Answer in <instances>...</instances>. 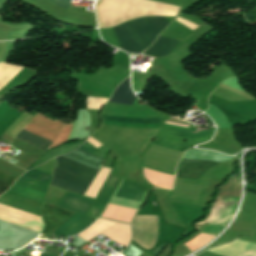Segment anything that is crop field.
<instances>
[{
    "instance_id": "f4fd0767",
    "label": "crop field",
    "mask_w": 256,
    "mask_h": 256,
    "mask_svg": "<svg viewBox=\"0 0 256 256\" xmlns=\"http://www.w3.org/2000/svg\"><path fill=\"white\" fill-rule=\"evenodd\" d=\"M135 99H136V96L133 95L130 84H129V78H127L118 86V88L115 90L112 98L109 100L108 103L133 105ZM100 117L101 119H105V120L130 122V123H160L161 122V120L124 119V118H116V117L104 116V115H101Z\"/></svg>"
},
{
    "instance_id": "d8731c3e",
    "label": "crop field",
    "mask_w": 256,
    "mask_h": 256,
    "mask_svg": "<svg viewBox=\"0 0 256 256\" xmlns=\"http://www.w3.org/2000/svg\"><path fill=\"white\" fill-rule=\"evenodd\" d=\"M93 200L68 192L60 207L85 214Z\"/></svg>"
},
{
    "instance_id": "733c2abd",
    "label": "crop field",
    "mask_w": 256,
    "mask_h": 256,
    "mask_svg": "<svg viewBox=\"0 0 256 256\" xmlns=\"http://www.w3.org/2000/svg\"><path fill=\"white\" fill-rule=\"evenodd\" d=\"M53 3L66 9L67 5L70 3V0H50Z\"/></svg>"
},
{
    "instance_id": "d9b57169",
    "label": "crop field",
    "mask_w": 256,
    "mask_h": 256,
    "mask_svg": "<svg viewBox=\"0 0 256 256\" xmlns=\"http://www.w3.org/2000/svg\"><path fill=\"white\" fill-rule=\"evenodd\" d=\"M216 235H212L210 234L208 237H206L203 241H201L199 244L190 247V250L193 251L197 248H200L202 246H204L205 244H207L210 240H212Z\"/></svg>"
},
{
    "instance_id": "cbeb9de0",
    "label": "crop field",
    "mask_w": 256,
    "mask_h": 256,
    "mask_svg": "<svg viewBox=\"0 0 256 256\" xmlns=\"http://www.w3.org/2000/svg\"><path fill=\"white\" fill-rule=\"evenodd\" d=\"M15 181L16 179L0 172V194L6 191Z\"/></svg>"
},
{
    "instance_id": "e52e79f7",
    "label": "crop field",
    "mask_w": 256,
    "mask_h": 256,
    "mask_svg": "<svg viewBox=\"0 0 256 256\" xmlns=\"http://www.w3.org/2000/svg\"><path fill=\"white\" fill-rule=\"evenodd\" d=\"M42 214L45 223V228L42 233L53 234L52 232L66 221L73 212L45 203L42 208Z\"/></svg>"
},
{
    "instance_id": "5142ce71",
    "label": "crop field",
    "mask_w": 256,
    "mask_h": 256,
    "mask_svg": "<svg viewBox=\"0 0 256 256\" xmlns=\"http://www.w3.org/2000/svg\"><path fill=\"white\" fill-rule=\"evenodd\" d=\"M141 252L142 251L138 250L137 248H135L133 245L130 244L128 249L121 254L125 256H138Z\"/></svg>"
},
{
    "instance_id": "412701ff",
    "label": "crop field",
    "mask_w": 256,
    "mask_h": 256,
    "mask_svg": "<svg viewBox=\"0 0 256 256\" xmlns=\"http://www.w3.org/2000/svg\"><path fill=\"white\" fill-rule=\"evenodd\" d=\"M50 178V175L32 169L23 174L10 188L9 192L44 202L45 191Z\"/></svg>"
},
{
    "instance_id": "34b2d1b8",
    "label": "crop field",
    "mask_w": 256,
    "mask_h": 256,
    "mask_svg": "<svg viewBox=\"0 0 256 256\" xmlns=\"http://www.w3.org/2000/svg\"><path fill=\"white\" fill-rule=\"evenodd\" d=\"M186 157L202 158L214 161L224 162L232 159V157L223 156L214 152L189 150L185 153ZM182 157L178 167L177 176L198 179L200 174L208 167L220 163L202 159Z\"/></svg>"
},
{
    "instance_id": "3316defc",
    "label": "crop field",
    "mask_w": 256,
    "mask_h": 256,
    "mask_svg": "<svg viewBox=\"0 0 256 256\" xmlns=\"http://www.w3.org/2000/svg\"><path fill=\"white\" fill-rule=\"evenodd\" d=\"M119 180H120L119 178L110 176V178L108 179L107 183L105 184L97 202L95 203L93 208L88 213L89 216L97 217L100 214L101 210L105 206L109 196L111 195L114 187L117 185Z\"/></svg>"
},
{
    "instance_id": "d1516ede",
    "label": "crop field",
    "mask_w": 256,
    "mask_h": 256,
    "mask_svg": "<svg viewBox=\"0 0 256 256\" xmlns=\"http://www.w3.org/2000/svg\"><path fill=\"white\" fill-rule=\"evenodd\" d=\"M15 139L26 143L30 146H33L37 149H40L44 152H46V150L49 148V146L51 145V142L46 141L42 138H39L37 136H34L24 130H22L16 137Z\"/></svg>"
},
{
    "instance_id": "4a817a6b",
    "label": "crop field",
    "mask_w": 256,
    "mask_h": 256,
    "mask_svg": "<svg viewBox=\"0 0 256 256\" xmlns=\"http://www.w3.org/2000/svg\"><path fill=\"white\" fill-rule=\"evenodd\" d=\"M170 123V122H169ZM176 124V123H175ZM182 125V124H181ZM188 126V125H187Z\"/></svg>"
},
{
    "instance_id": "22f410ed",
    "label": "crop field",
    "mask_w": 256,
    "mask_h": 256,
    "mask_svg": "<svg viewBox=\"0 0 256 256\" xmlns=\"http://www.w3.org/2000/svg\"><path fill=\"white\" fill-rule=\"evenodd\" d=\"M110 170L111 169H109V168L101 167V169L99 170L97 175L94 177V179L90 183V185L85 193V196L95 198V196L99 192L100 188L102 187L104 181L106 180Z\"/></svg>"
},
{
    "instance_id": "8a807250",
    "label": "crop field",
    "mask_w": 256,
    "mask_h": 256,
    "mask_svg": "<svg viewBox=\"0 0 256 256\" xmlns=\"http://www.w3.org/2000/svg\"><path fill=\"white\" fill-rule=\"evenodd\" d=\"M167 24L163 17H144L115 26L120 49L136 54L143 52Z\"/></svg>"
},
{
    "instance_id": "dd49c442",
    "label": "crop field",
    "mask_w": 256,
    "mask_h": 256,
    "mask_svg": "<svg viewBox=\"0 0 256 256\" xmlns=\"http://www.w3.org/2000/svg\"><path fill=\"white\" fill-rule=\"evenodd\" d=\"M87 141L96 148L99 147L100 145H102L92 137H90ZM87 141L79 149L90 153L93 150H95L96 148H94L92 145H90ZM79 149L72 151L66 155H62V156L72 159L74 161H77L79 163L91 166L98 170L103 162V158L88 154Z\"/></svg>"
},
{
    "instance_id": "ac0d7876",
    "label": "crop field",
    "mask_w": 256,
    "mask_h": 256,
    "mask_svg": "<svg viewBox=\"0 0 256 256\" xmlns=\"http://www.w3.org/2000/svg\"><path fill=\"white\" fill-rule=\"evenodd\" d=\"M56 161L58 166L53 171L51 186L82 195L97 170L62 156L57 157Z\"/></svg>"
},
{
    "instance_id": "28ad6ade",
    "label": "crop field",
    "mask_w": 256,
    "mask_h": 256,
    "mask_svg": "<svg viewBox=\"0 0 256 256\" xmlns=\"http://www.w3.org/2000/svg\"><path fill=\"white\" fill-rule=\"evenodd\" d=\"M177 42V40L159 36V38L152 45V47L146 50L144 54L152 56L154 58L160 57L170 52L172 48L177 44Z\"/></svg>"
},
{
    "instance_id": "5a996713",
    "label": "crop field",
    "mask_w": 256,
    "mask_h": 256,
    "mask_svg": "<svg viewBox=\"0 0 256 256\" xmlns=\"http://www.w3.org/2000/svg\"><path fill=\"white\" fill-rule=\"evenodd\" d=\"M94 219L87 218L81 215L75 214L66 223H64L57 231L71 235L76 234L91 224Z\"/></svg>"
}]
</instances>
